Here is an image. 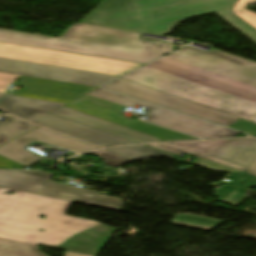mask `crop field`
<instances>
[{
    "mask_svg": "<svg viewBox=\"0 0 256 256\" xmlns=\"http://www.w3.org/2000/svg\"><path fill=\"white\" fill-rule=\"evenodd\" d=\"M10 140L9 138L5 137L4 135L0 134V144Z\"/></svg>",
    "mask_w": 256,
    "mask_h": 256,
    "instance_id": "750c4746",
    "label": "crop field"
},
{
    "mask_svg": "<svg viewBox=\"0 0 256 256\" xmlns=\"http://www.w3.org/2000/svg\"><path fill=\"white\" fill-rule=\"evenodd\" d=\"M18 77V75L0 72V93L5 94L8 84L14 82V80Z\"/></svg>",
    "mask_w": 256,
    "mask_h": 256,
    "instance_id": "eef30255",
    "label": "crop field"
},
{
    "mask_svg": "<svg viewBox=\"0 0 256 256\" xmlns=\"http://www.w3.org/2000/svg\"><path fill=\"white\" fill-rule=\"evenodd\" d=\"M3 96H5V95H1V94H0V98L3 97Z\"/></svg>",
    "mask_w": 256,
    "mask_h": 256,
    "instance_id": "1d83c4d3",
    "label": "crop field"
},
{
    "mask_svg": "<svg viewBox=\"0 0 256 256\" xmlns=\"http://www.w3.org/2000/svg\"><path fill=\"white\" fill-rule=\"evenodd\" d=\"M208 156L248 168L256 157L255 139H234L219 146Z\"/></svg>",
    "mask_w": 256,
    "mask_h": 256,
    "instance_id": "cbeb9de0",
    "label": "crop field"
},
{
    "mask_svg": "<svg viewBox=\"0 0 256 256\" xmlns=\"http://www.w3.org/2000/svg\"><path fill=\"white\" fill-rule=\"evenodd\" d=\"M132 129L149 134L151 136L157 137L164 141L177 140V139H198V138L182 135V134L170 131V130H166V129L151 125V124L143 122V121L139 122Z\"/></svg>",
    "mask_w": 256,
    "mask_h": 256,
    "instance_id": "4a817a6b",
    "label": "crop field"
},
{
    "mask_svg": "<svg viewBox=\"0 0 256 256\" xmlns=\"http://www.w3.org/2000/svg\"><path fill=\"white\" fill-rule=\"evenodd\" d=\"M122 78L246 120L256 116V62L216 49L185 46Z\"/></svg>",
    "mask_w": 256,
    "mask_h": 256,
    "instance_id": "8a807250",
    "label": "crop field"
},
{
    "mask_svg": "<svg viewBox=\"0 0 256 256\" xmlns=\"http://www.w3.org/2000/svg\"><path fill=\"white\" fill-rule=\"evenodd\" d=\"M229 128L237 129L240 131L248 132L252 136H256V123L240 119L234 122Z\"/></svg>",
    "mask_w": 256,
    "mask_h": 256,
    "instance_id": "730fd06b",
    "label": "crop field"
},
{
    "mask_svg": "<svg viewBox=\"0 0 256 256\" xmlns=\"http://www.w3.org/2000/svg\"><path fill=\"white\" fill-rule=\"evenodd\" d=\"M50 114L101 130L135 142L162 141L149 135L125 128L62 106Z\"/></svg>",
    "mask_w": 256,
    "mask_h": 256,
    "instance_id": "22f410ed",
    "label": "crop field"
},
{
    "mask_svg": "<svg viewBox=\"0 0 256 256\" xmlns=\"http://www.w3.org/2000/svg\"><path fill=\"white\" fill-rule=\"evenodd\" d=\"M235 0H103L81 22L167 35L186 18L216 12L256 43V31L231 13Z\"/></svg>",
    "mask_w": 256,
    "mask_h": 256,
    "instance_id": "34b2d1b8",
    "label": "crop field"
},
{
    "mask_svg": "<svg viewBox=\"0 0 256 256\" xmlns=\"http://www.w3.org/2000/svg\"><path fill=\"white\" fill-rule=\"evenodd\" d=\"M147 146H150V147H153L156 149H160V150H163V151L175 154V155H177L181 152L196 155L198 157L192 162V164L209 169L214 172H244L245 171L244 168H241V167H238V166H235V165H232V164L199 154L197 152L179 147V146L171 144V143L149 144Z\"/></svg>",
    "mask_w": 256,
    "mask_h": 256,
    "instance_id": "5142ce71",
    "label": "crop field"
},
{
    "mask_svg": "<svg viewBox=\"0 0 256 256\" xmlns=\"http://www.w3.org/2000/svg\"><path fill=\"white\" fill-rule=\"evenodd\" d=\"M90 94L107 99L109 101L121 104L126 107L134 105L146 107L144 110L148 111L149 122L159 124L171 129H175L184 133L195 135L202 138H218V137H234L238 131L228 128L216 126L206 123L194 118H190L178 113H174L156 106L145 104L136 100H132L120 95H116L103 90H96Z\"/></svg>",
    "mask_w": 256,
    "mask_h": 256,
    "instance_id": "d8731c3e",
    "label": "crop field"
},
{
    "mask_svg": "<svg viewBox=\"0 0 256 256\" xmlns=\"http://www.w3.org/2000/svg\"><path fill=\"white\" fill-rule=\"evenodd\" d=\"M92 155L100 157L102 160H106L108 165L114 166V167H119L125 163H128L132 160H129L127 158L118 156L116 154L110 153L108 151L102 150L94 153H90Z\"/></svg>",
    "mask_w": 256,
    "mask_h": 256,
    "instance_id": "a9b5d70f",
    "label": "crop field"
},
{
    "mask_svg": "<svg viewBox=\"0 0 256 256\" xmlns=\"http://www.w3.org/2000/svg\"><path fill=\"white\" fill-rule=\"evenodd\" d=\"M22 166L0 157V169H20Z\"/></svg>",
    "mask_w": 256,
    "mask_h": 256,
    "instance_id": "ae1a2a85",
    "label": "crop field"
},
{
    "mask_svg": "<svg viewBox=\"0 0 256 256\" xmlns=\"http://www.w3.org/2000/svg\"><path fill=\"white\" fill-rule=\"evenodd\" d=\"M246 173L256 176V158L252 162V164L249 166V168L246 170Z\"/></svg>",
    "mask_w": 256,
    "mask_h": 256,
    "instance_id": "d3111659",
    "label": "crop field"
},
{
    "mask_svg": "<svg viewBox=\"0 0 256 256\" xmlns=\"http://www.w3.org/2000/svg\"><path fill=\"white\" fill-rule=\"evenodd\" d=\"M0 58L121 76L143 64L0 42Z\"/></svg>",
    "mask_w": 256,
    "mask_h": 256,
    "instance_id": "dd49c442",
    "label": "crop field"
},
{
    "mask_svg": "<svg viewBox=\"0 0 256 256\" xmlns=\"http://www.w3.org/2000/svg\"><path fill=\"white\" fill-rule=\"evenodd\" d=\"M62 105L64 104L13 95H9L0 101V107L11 114L92 144L104 147L133 143L123 138L48 114Z\"/></svg>",
    "mask_w": 256,
    "mask_h": 256,
    "instance_id": "f4fd0767",
    "label": "crop field"
},
{
    "mask_svg": "<svg viewBox=\"0 0 256 256\" xmlns=\"http://www.w3.org/2000/svg\"><path fill=\"white\" fill-rule=\"evenodd\" d=\"M0 71L100 86L116 76L0 59Z\"/></svg>",
    "mask_w": 256,
    "mask_h": 256,
    "instance_id": "28ad6ade",
    "label": "crop field"
},
{
    "mask_svg": "<svg viewBox=\"0 0 256 256\" xmlns=\"http://www.w3.org/2000/svg\"><path fill=\"white\" fill-rule=\"evenodd\" d=\"M227 178L232 179L231 182L228 184L241 186L245 188H249L256 183V177L246 173H232ZM242 181H245L246 183L244 185H241Z\"/></svg>",
    "mask_w": 256,
    "mask_h": 256,
    "instance_id": "4177f3b9",
    "label": "crop field"
},
{
    "mask_svg": "<svg viewBox=\"0 0 256 256\" xmlns=\"http://www.w3.org/2000/svg\"><path fill=\"white\" fill-rule=\"evenodd\" d=\"M22 77L16 86L23 87L19 96L68 103L97 87L66 83L42 78ZM88 95V94H87Z\"/></svg>",
    "mask_w": 256,
    "mask_h": 256,
    "instance_id": "d1516ede",
    "label": "crop field"
},
{
    "mask_svg": "<svg viewBox=\"0 0 256 256\" xmlns=\"http://www.w3.org/2000/svg\"><path fill=\"white\" fill-rule=\"evenodd\" d=\"M103 88L149 101L226 127L239 119L235 116L204 107L177 96L147 88L122 78L104 86Z\"/></svg>",
    "mask_w": 256,
    "mask_h": 256,
    "instance_id": "5a996713",
    "label": "crop field"
},
{
    "mask_svg": "<svg viewBox=\"0 0 256 256\" xmlns=\"http://www.w3.org/2000/svg\"><path fill=\"white\" fill-rule=\"evenodd\" d=\"M35 125L21 121L13 116H6L4 123H0V133L13 139L31 129Z\"/></svg>",
    "mask_w": 256,
    "mask_h": 256,
    "instance_id": "bc2a9ffb",
    "label": "crop field"
},
{
    "mask_svg": "<svg viewBox=\"0 0 256 256\" xmlns=\"http://www.w3.org/2000/svg\"><path fill=\"white\" fill-rule=\"evenodd\" d=\"M139 34L73 23L58 38L0 28V41L143 64L171 51L169 44L139 40Z\"/></svg>",
    "mask_w": 256,
    "mask_h": 256,
    "instance_id": "412701ff",
    "label": "crop field"
},
{
    "mask_svg": "<svg viewBox=\"0 0 256 256\" xmlns=\"http://www.w3.org/2000/svg\"><path fill=\"white\" fill-rule=\"evenodd\" d=\"M242 191L243 190L241 189L224 186L213 195L219 198L218 201L236 206L237 204H239L241 201L248 197L245 195H241Z\"/></svg>",
    "mask_w": 256,
    "mask_h": 256,
    "instance_id": "92a150f3",
    "label": "crop field"
},
{
    "mask_svg": "<svg viewBox=\"0 0 256 256\" xmlns=\"http://www.w3.org/2000/svg\"><path fill=\"white\" fill-rule=\"evenodd\" d=\"M0 256H47L37 246L0 239ZM64 256H88L66 251Z\"/></svg>",
    "mask_w": 256,
    "mask_h": 256,
    "instance_id": "d9b57169",
    "label": "crop field"
},
{
    "mask_svg": "<svg viewBox=\"0 0 256 256\" xmlns=\"http://www.w3.org/2000/svg\"><path fill=\"white\" fill-rule=\"evenodd\" d=\"M228 140H221V141H202V142H184V143H174L179 146L197 151L199 153L207 155L212 150L217 148L222 143L226 142Z\"/></svg>",
    "mask_w": 256,
    "mask_h": 256,
    "instance_id": "00972430",
    "label": "crop field"
},
{
    "mask_svg": "<svg viewBox=\"0 0 256 256\" xmlns=\"http://www.w3.org/2000/svg\"><path fill=\"white\" fill-rule=\"evenodd\" d=\"M34 141L67 148L77 153L98 149L97 147L73 140L60 134L42 128H37L22 137L14 139L0 146V155L30 167L40 162V158H38L39 156L32 154L22 148Z\"/></svg>",
    "mask_w": 256,
    "mask_h": 256,
    "instance_id": "3316defc",
    "label": "crop field"
},
{
    "mask_svg": "<svg viewBox=\"0 0 256 256\" xmlns=\"http://www.w3.org/2000/svg\"><path fill=\"white\" fill-rule=\"evenodd\" d=\"M253 122H256V117H255V119L253 120Z\"/></svg>",
    "mask_w": 256,
    "mask_h": 256,
    "instance_id": "bd1437ed",
    "label": "crop field"
},
{
    "mask_svg": "<svg viewBox=\"0 0 256 256\" xmlns=\"http://www.w3.org/2000/svg\"><path fill=\"white\" fill-rule=\"evenodd\" d=\"M171 222L208 230V229L222 223L223 221L200 217V216L189 215V214H182V215H176Z\"/></svg>",
    "mask_w": 256,
    "mask_h": 256,
    "instance_id": "214f88e0",
    "label": "crop field"
},
{
    "mask_svg": "<svg viewBox=\"0 0 256 256\" xmlns=\"http://www.w3.org/2000/svg\"><path fill=\"white\" fill-rule=\"evenodd\" d=\"M70 204L0 187V238L97 256L116 229L64 215Z\"/></svg>",
    "mask_w": 256,
    "mask_h": 256,
    "instance_id": "ac0d7876",
    "label": "crop field"
},
{
    "mask_svg": "<svg viewBox=\"0 0 256 256\" xmlns=\"http://www.w3.org/2000/svg\"><path fill=\"white\" fill-rule=\"evenodd\" d=\"M52 173L0 171V186L118 210L121 199L50 180Z\"/></svg>",
    "mask_w": 256,
    "mask_h": 256,
    "instance_id": "e52e79f7",
    "label": "crop field"
},
{
    "mask_svg": "<svg viewBox=\"0 0 256 256\" xmlns=\"http://www.w3.org/2000/svg\"><path fill=\"white\" fill-rule=\"evenodd\" d=\"M110 152L119 154L121 156L127 157L132 160H138L146 157H156V156H166L168 158H173L172 155L142 146V145H134V146H122L115 147L111 149H106Z\"/></svg>",
    "mask_w": 256,
    "mask_h": 256,
    "instance_id": "733c2abd",
    "label": "crop field"
},
{
    "mask_svg": "<svg viewBox=\"0 0 256 256\" xmlns=\"http://www.w3.org/2000/svg\"><path fill=\"white\" fill-rule=\"evenodd\" d=\"M254 1L256 0H237L233 13L256 29V13L244 9L248 3Z\"/></svg>",
    "mask_w": 256,
    "mask_h": 256,
    "instance_id": "dafd665d",
    "label": "crop field"
}]
</instances>
